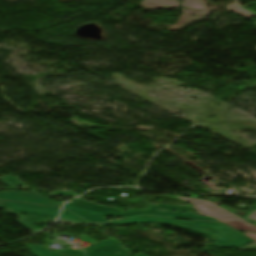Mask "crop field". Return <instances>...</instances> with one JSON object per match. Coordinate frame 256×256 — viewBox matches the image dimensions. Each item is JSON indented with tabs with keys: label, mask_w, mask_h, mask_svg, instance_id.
I'll return each instance as SVG.
<instances>
[{
	"label": "crop field",
	"mask_w": 256,
	"mask_h": 256,
	"mask_svg": "<svg viewBox=\"0 0 256 256\" xmlns=\"http://www.w3.org/2000/svg\"><path fill=\"white\" fill-rule=\"evenodd\" d=\"M59 219L89 224L88 222L72 215L66 210H63ZM148 222L170 224V225L181 227L186 230L199 232L201 234H204L210 237L212 240H214L215 241L214 246L217 248L241 247L243 245L253 242V240L245 237L241 233L236 232L222 224H217V223H208V222H199V221L185 222V221H176L174 219H167V218L142 217L138 219L119 221V222L110 223L106 225L144 224Z\"/></svg>",
	"instance_id": "obj_1"
},
{
	"label": "crop field",
	"mask_w": 256,
	"mask_h": 256,
	"mask_svg": "<svg viewBox=\"0 0 256 256\" xmlns=\"http://www.w3.org/2000/svg\"><path fill=\"white\" fill-rule=\"evenodd\" d=\"M149 205V210L147 211H128L126 213H121L119 210L102 207L99 205L92 204L88 201H85L81 198L76 201L65 205L64 208L76 213L77 215L91 221V222H107L103 217L108 215H119L124 217L137 216L141 214L148 215H156V216H167V217H179V218H190V219H201V220H213L211 218L206 217H198L190 214V210L192 207H178V206H170V205H156L157 208L167 209L168 212L160 213L157 211L153 205ZM172 210H176V213H172ZM185 211L186 213H182Z\"/></svg>",
	"instance_id": "obj_2"
},
{
	"label": "crop field",
	"mask_w": 256,
	"mask_h": 256,
	"mask_svg": "<svg viewBox=\"0 0 256 256\" xmlns=\"http://www.w3.org/2000/svg\"><path fill=\"white\" fill-rule=\"evenodd\" d=\"M0 209H6L9 213L19 217L20 219L15 221L34 233L38 230L33 228L32 225L36 223L43 225L49 221L55 220L59 208L0 201ZM21 213H25L29 215V217L23 220L20 216Z\"/></svg>",
	"instance_id": "obj_3"
},
{
	"label": "crop field",
	"mask_w": 256,
	"mask_h": 256,
	"mask_svg": "<svg viewBox=\"0 0 256 256\" xmlns=\"http://www.w3.org/2000/svg\"><path fill=\"white\" fill-rule=\"evenodd\" d=\"M192 204L195 210L207 217L214 218L236 230L256 232V226L242 220L241 218L217 207L215 204L193 198L178 197Z\"/></svg>",
	"instance_id": "obj_4"
},
{
	"label": "crop field",
	"mask_w": 256,
	"mask_h": 256,
	"mask_svg": "<svg viewBox=\"0 0 256 256\" xmlns=\"http://www.w3.org/2000/svg\"><path fill=\"white\" fill-rule=\"evenodd\" d=\"M85 252L87 253V256H130V253L122 249L119 242L113 239L98 243L95 246L86 249ZM116 252H119L120 254L117 255Z\"/></svg>",
	"instance_id": "obj_5"
},
{
	"label": "crop field",
	"mask_w": 256,
	"mask_h": 256,
	"mask_svg": "<svg viewBox=\"0 0 256 256\" xmlns=\"http://www.w3.org/2000/svg\"><path fill=\"white\" fill-rule=\"evenodd\" d=\"M0 199L5 200H14L42 205H53V206H61V204L51 202L46 198L40 196L37 193L33 192H13V193H0Z\"/></svg>",
	"instance_id": "obj_6"
},
{
	"label": "crop field",
	"mask_w": 256,
	"mask_h": 256,
	"mask_svg": "<svg viewBox=\"0 0 256 256\" xmlns=\"http://www.w3.org/2000/svg\"><path fill=\"white\" fill-rule=\"evenodd\" d=\"M27 247L30 249L31 254L35 256H61L37 245H29Z\"/></svg>",
	"instance_id": "obj_7"
},
{
	"label": "crop field",
	"mask_w": 256,
	"mask_h": 256,
	"mask_svg": "<svg viewBox=\"0 0 256 256\" xmlns=\"http://www.w3.org/2000/svg\"><path fill=\"white\" fill-rule=\"evenodd\" d=\"M0 182H2L3 184L7 185L10 188H16L15 185H21L27 188L24 182H22L21 180L14 176L2 177L0 178Z\"/></svg>",
	"instance_id": "obj_8"
},
{
	"label": "crop field",
	"mask_w": 256,
	"mask_h": 256,
	"mask_svg": "<svg viewBox=\"0 0 256 256\" xmlns=\"http://www.w3.org/2000/svg\"><path fill=\"white\" fill-rule=\"evenodd\" d=\"M57 253L60 254H66V255H72V256H84V253L81 251L69 249L67 251H56Z\"/></svg>",
	"instance_id": "obj_9"
},
{
	"label": "crop field",
	"mask_w": 256,
	"mask_h": 256,
	"mask_svg": "<svg viewBox=\"0 0 256 256\" xmlns=\"http://www.w3.org/2000/svg\"><path fill=\"white\" fill-rule=\"evenodd\" d=\"M54 194H60V195H75L72 192H64V191H56Z\"/></svg>",
	"instance_id": "obj_10"
},
{
	"label": "crop field",
	"mask_w": 256,
	"mask_h": 256,
	"mask_svg": "<svg viewBox=\"0 0 256 256\" xmlns=\"http://www.w3.org/2000/svg\"><path fill=\"white\" fill-rule=\"evenodd\" d=\"M244 234L256 240V234H248V233H244Z\"/></svg>",
	"instance_id": "obj_11"
},
{
	"label": "crop field",
	"mask_w": 256,
	"mask_h": 256,
	"mask_svg": "<svg viewBox=\"0 0 256 256\" xmlns=\"http://www.w3.org/2000/svg\"><path fill=\"white\" fill-rule=\"evenodd\" d=\"M136 256H144V255L140 253V254H138V255H136Z\"/></svg>",
	"instance_id": "obj_12"
}]
</instances>
